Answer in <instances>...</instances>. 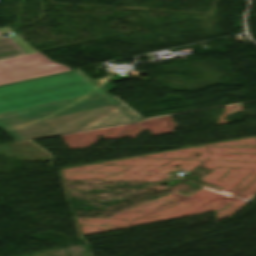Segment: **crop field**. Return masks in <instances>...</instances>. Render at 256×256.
Listing matches in <instances>:
<instances>
[{
  "label": "crop field",
  "instance_id": "8a807250",
  "mask_svg": "<svg viewBox=\"0 0 256 256\" xmlns=\"http://www.w3.org/2000/svg\"><path fill=\"white\" fill-rule=\"evenodd\" d=\"M140 120L80 70L0 87V127L18 141Z\"/></svg>",
  "mask_w": 256,
  "mask_h": 256
},
{
  "label": "crop field",
  "instance_id": "ac0d7876",
  "mask_svg": "<svg viewBox=\"0 0 256 256\" xmlns=\"http://www.w3.org/2000/svg\"><path fill=\"white\" fill-rule=\"evenodd\" d=\"M70 71L37 53L0 61V86Z\"/></svg>",
  "mask_w": 256,
  "mask_h": 256
},
{
  "label": "crop field",
  "instance_id": "34b2d1b8",
  "mask_svg": "<svg viewBox=\"0 0 256 256\" xmlns=\"http://www.w3.org/2000/svg\"><path fill=\"white\" fill-rule=\"evenodd\" d=\"M7 30L10 28H0V34ZM26 44L18 35L6 38L0 35V60L25 55L17 46Z\"/></svg>",
  "mask_w": 256,
  "mask_h": 256
},
{
  "label": "crop field",
  "instance_id": "412701ff",
  "mask_svg": "<svg viewBox=\"0 0 256 256\" xmlns=\"http://www.w3.org/2000/svg\"><path fill=\"white\" fill-rule=\"evenodd\" d=\"M19 48H20L26 55L32 54V53H37V52H38V51H36L35 49H33L32 47H30L29 45L20 46Z\"/></svg>",
  "mask_w": 256,
  "mask_h": 256
}]
</instances>
